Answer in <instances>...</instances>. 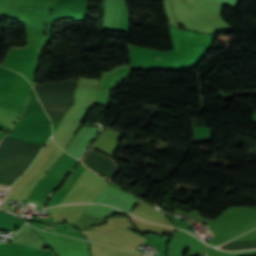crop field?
Returning <instances> with one entry per match:
<instances>
[{
  "mask_svg": "<svg viewBox=\"0 0 256 256\" xmlns=\"http://www.w3.org/2000/svg\"><path fill=\"white\" fill-rule=\"evenodd\" d=\"M15 242L42 249L41 243L43 241L28 227Z\"/></svg>",
  "mask_w": 256,
  "mask_h": 256,
  "instance_id": "1",
  "label": "crop field"
},
{
  "mask_svg": "<svg viewBox=\"0 0 256 256\" xmlns=\"http://www.w3.org/2000/svg\"><path fill=\"white\" fill-rule=\"evenodd\" d=\"M90 150H91V149H90ZM92 150H93V149H92ZM94 151H95V150H94ZM89 152H90V151H89ZM89 152H88V154H89ZM96 152H97V151H96ZM98 153H99V152H98ZM88 154H87V155H88ZM86 157H87V156H86ZM86 157H85V159H86ZM85 159H84V160H85ZM84 160H83V161H84ZM113 161H114V160H113ZM114 163H115V162H114ZM115 164H116V163H115ZM84 165H85V164H84ZM116 165H117V164H116ZM85 166H86V165H85ZM117 169H118V167H117ZM115 173H116V172H115ZM115 173L112 175V177L115 175ZM112 177H111V178H112ZM111 178H110V179H111ZM110 179H109V180H110Z\"/></svg>",
  "mask_w": 256,
  "mask_h": 256,
  "instance_id": "2",
  "label": "crop field"
},
{
  "mask_svg": "<svg viewBox=\"0 0 256 256\" xmlns=\"http://www.w3.org/2000/svg\"><path fill=\"white\" fill-rule=\"evenodd\" d=\"M227 243H228V242H227ZM227 243H226V244H227ZM224 245H225V244H224ZM222 246H223V245H222ZM220 247H221V246H220ZM220 247H219V248H220ZM220 249H221V248H220ZM229 251H230V250H229Z\"/></svg>",
  "mask_w": 256,
  "mask_h": 256,
  "instance_id": "3",
  "label": "crop field"
},
{
  "mask_svg": "<svg viewBox=\"0 0 256 256\" xmlns=\"http://www.w3.org/2000/svg\"><path fill=\"white\" fill-rule=\"evenodd\" d=\"M87 236V235H86ZM88 237V236H87ZM89 238V237H88ZM90 239V238H89Z\"/></svg>",
  "mask_w": 256,
  "mask_h": 256,
  "instance_id": "4",
  "label": "crop field"
}]
</instances>
